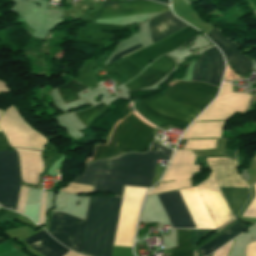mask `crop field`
Returning a JSON list of instances; mask_svg holds the SVG:
<instances>
[{
  "label": "crop field",
  "mask_w": 256,
  "mask_h": 256,
  "mask_svg": "<svg viewBox=\"0 0 256 256\" xmlns=\"http://www.w3.org/2000/svg\"><path fill=\"white\" fill-rule=\"evenodd\" d=\"M0 128L5 133L11 147L43 150V145L47 143L43 136L23 122L13 107L7 109L1 116Z\"/></svg>",
  "instance_id": "28ad6ade"
},
{
  "label": "crop field",
  "mask_w": 256,
  "mask_h": 256,
  "mask_svg": "<svg viewBox=\"0 0 256 256\" xmlns=\"http://www.w3.org/2000/svg\"><path fill=\"white\" fill-rule=\"evenodd\" d=\"M92 188L93 186L90 185L70 183L68 187H63L60 191L81 194L85 192H91Z\"/></svg>",
  "instance_id": "730fd06b"
},
{
  "label": "crop field",
  "mask_w": 256,
  "mask_h": 256,
  "mask_svg": "<svg viewBox=\"0 0 256 256\" xmlns=\"http://www.w3.org/2000/svg\"><path fill=\"white\" fill-rule=\"evenodd\" d=\"M245 230H247L245 225L237 222L236 224L228 228L225 233H223L222 235H220L219 237L211 241L206 246L200 248L199 252L201 256H206L207 254L214 251L215 249L225 244L229 240L233 239L234 237L244 232Z\"/></svg>",
  "instance_id": "dafd665d"
},
{
  "label": "crop field",
  "mask_w": 256,
  "mask_h": 256,
  "mask_svg": "<svg viewBox=\"0 0 256 256\" xmlns=\"http://www.w3.org/2000/svg\"><path fill=\"white\" fill-rule=\"evenodd\" d=\"M206 160L219 187H247L236 172L234 160L226 158H209ZM212 172L208 178L196 187L216 227H218L232 219L233 216L221 195Z\"/></svg>",
  "instance_id": "f4fd0767"
},
{
  "label": "crop field",
  "mask_w": 256,
  "mask_h": 256,
  "mask_svg": "<svg viewBox=\"0 0 256 256\" xmlns=\"http://www.w3.org/2000/svg\"><path fill=\"white\" fill-rule=\"evenodd\" d=\"M197 227L215 228L195 187L179 190ZM178 190L158 194L173 228H197Z\"/></svg>",
  "instance_id": "dd49c442"
},
{
  "label": "crop field",
  "mask_w": 256,
  "mask_h": 256,
  "mask_svg": "<svg viewBox=\"0 0 256 256\" xmlns=\"http://www.w3.org/2000/svg\"><path fill=\"white\" fill-rule=\"evenodd\" d=\"M147 192L125 187L114 245L132 247L139 208Z\"/></svg>",
  "instance_id": "5a996713"
},
{
  "label": "crop field",
  "mask_w": 256,
  "mask_h": 256,
  "mask_svg": "<svg viewBox=\"0 0 256 256\" xmlns=\"http://www.w3.org/2000/svg\"><path fill=\"white\" fill-rule=\"evenodd\" d=\"M121 199L90 197L80 254L111 256Z\"/></svg>",
  "instance_id": "412701ff"
},
{
  "label": "crop field",
  "mask_w": 256,
  "mask_h": 256,
  "mask_svg": "<svg viewBox=\"0 0 256 256\" xmlns=\"http://www.w3.org/2000/svg\"><path fill=\"white\" fill-rule=\"evenodd\" d=\"M158 149L146 154L126 153L110 159L97 160L86 166L83 176L74 182L94 185L93 192H108L121 196L123 185L151 187L157 158L168 161L172 151Z\"/></svg>",
  "instance_id": "ac0d7876"
},
{
  "label": "crop field",
  "mask_w": 256,
  "mask_h": 256,
  "mask_svg": "<svg viewBox=\"0 0 256 256\" xmlns=\"http://www.w3.org/2000/svg\"><path fill=\"white\" fill-rule=\"evenodd\" d=\"M169 8L148 0L103 2L96 19L138 13L164 12L169 10Z\"/></svg>",
  "instance_id": "cbeb9de0"
},
{
  "label": "crop field",
  "mask_w": 256,
  "mask_h": 256,
  "mask_svg": "<svg viewBox=\"0 0 256 256\" xmlns=\"http://www.w3.org/2000/svg\"><path fill=\"white\" fill-rule=\"evenodd\" d=\"M194 159L191 151L176 150L165 176L148 195L192 186L189 178L200 169V165L193 166Z\"/></svg>",
  "instance_id": "3316defc"
},
{
  "label": "crop field",
  "mask_w": 256,
  "mask_h": 256,
  "mask_svg": "<svg viewBox=\"0 0 256 256\" xmlns=\"http://www.w3.org/2000/svg\"><path fill=\"white\" fill-rule=\"evenodd\" d=\"M87 88L86 86L72 80L67 83L64 87L58 88V92L64 103L79 99L78 92Z\"/></svg>",
  "instance_id": "00972430"
},
{
  "label": "crop field",
  "mask_w": 256,
  "mask_h": 256,
  "mask_svg": "<svg viewBox=\"0 0 256 256\" xmlns=\"http://www.w3.org/2000/svg\"><path fill=\"white\" fill-rule=\"evenodd\" d=\"M105 106L107 105L101 102L91 109L76 112V115L80 119V121L87 126V124L95 117V115Z\"/></svg>",
  "instance_id": "4177f3b9"
},
{
  "label": "crop field",
  "mask_w": 256,
  "mask_h": 256,
  "mask_svg": "<svg viewBox=\"0 0 256 256\" xmlns=\"http://www.w3.org/2000/svg\"><path fill=\"white\" fill-rule=\"evenodd\" d=\"M253 158H254V160H255V162H256V154H255V156H254Z\"/></svg>",
  "instance_id": "0bd39190"
},
{
  "label": "crop field",
  "mask_w": 256,
  "mask_h": 256,
  "mask_svg": "<svg viewBox=\"0 0 256 256\" xmlns=\"http://www.w3.org/2000/svg\"><path fill=\"white\" fill-rule=\"evenodd\" d=\"M176 66L173 59L163 56L148 66L136 79L125 84L129 91H136L148 87L159 81Z\"/></svg>",
  "instance_id": "5142ce71"
},
{
  "label": "crop field",
  "mask_w": 256,
  "mask_h": 256,
  "mask_svg": "<svg viewBox=\"0 0 256 256\" xmlns=\"http://www.w3.org/2000/svg\"><path fill=\"white\" fill-rule=\"evenodd\" d=\"M142 46H141V44H139V45H136V46H134V47H131V48H129V49H127V50H125V51H123V52H121L120 54H118L117 56H115L114 58H112L111 59V61H110V63L111 62H113V61H116V60H118V59H120V58H122L121 56H123V55H125V54H127V53H130V52H132V51H134V50H137V49H139V48H141ZM142 49V48H141ZM140 50V49H139ZM138 51V50H137ZM135 52V51H134ZM133 53V52H132ZM131 54V53H130ZM128 55V54H127ZM126 56V55H125ZM124 57V56H123Z\"/></svg>",
  "instance_id": "d3111659"
},
{
  "label": "crop field",
  "mask_w": 256,
  "mask_h": 256,
  "mask_svg": "<svg viewBox=\"0 0 256 256\" xmlns=\"http://www.w3.org/2000/svg\"><path fill=\"white\" fill-rule=\"evenodd\" d=\"M64 256H79L71 251H69L68 253H66Z\"/></svg>",
  "instance_id": "d32e631a"
},
{
  "label": "crop field",
  "mask_w": 256,
  "mask_h": 256,
  "mask_svg": "<svg viewBox=\"0 0 256 256\" xmlns=\"http://www.w3.org/2000/svg\"><path fill=\"white\" fill-rule=\"evenodd\" d=\"M204 56L205 53L198 58L191 81H201ZM218 90L204 83L177 82L159 96L141 100L136 112L159 128L170 125L185 130L216 97Z\"/></svg>",
  "instance_id": "8a807250"
},
{
  "label": "crop field",
  "mask_w": 256,
  "mask_h": 256,
  "mask_svg": "<svg viewBox=\"0 0 256 256\" xmlns=\"http://www.w3.org/2000/svg\"><path fill=\"white\" fill-rule=\"evenodd\" d=\"M46 194L47 192L43 191L42 198H41V209H40V219H39L40 225L44 223V208H45Z\"/></svg>",
  "instance_id": "750c4746"
},
{
  "label": "crop field",
  "mask_w": 256,
  "mask_h": 256,
  "mask_svg": "<svg viewBox=\"0 0 256 256\" xmlns=\"http://www.w3.org/2000/svg\"><path fill=\"white\" fill-rule=\"evenodd\" d=\"M207 36L220 48L226 61L239 75H246L250 71L251 60L240 55L237 45L222 37L216 29Z\"/></svg>",
  "instance_id": "d9b57169"
},
{
  "label": "crop field",
  "mask_w": 256,
  "mask_h": 256,
  "mask_svg": "<svg viewBox=\"0 0 256 256\" xmlns=\"http://www.w3.org/2000/svg\"><path fill=\"white\" fill-rule=\"evenodd\" d=\"M8 211H9V210H6V209L1 208V209H0V216L3 215V214H5V213L8 212Z\"/></svg>",
  "instance_id": "028f5c9d"
},
{
  "label": "crop field",
  "mask_w": 256,
  "mask_h": 256,
  "mask_svg": "<svg viewBox=\"0 0 256 256\" xmlns=\"http://www.w3.org/2000/svg\"><path fill=\"white\" fill-rule=\"evenodd\" d=\"M9 91L8 87L0 81V92Z\"/></svg>",
  "instance_id": "120bbe31"
},
{
  "label": "crop field",
  "mask_w": 256,
  "mask_h": 256,
  "mask_svg": "<svg viewBox=\"0 0 256 256\" xmlns=\"http://www.w3.org/2000/svg\"><path fill=\"white\" fill-rule=\"evenodd\" d=\"M205 53L206 64L203 81L219 87L224 71V59L216 47Z\"/></svg>",
  "instance_id": "bc2a9ffb"
},
{
  "label": "crop field",
  "mask_w": 256,
  "mask_h": 256,
  "mask_svg": "<svg viewBox=\"0 0 256 256\" xmlns=\"http://www.w3.org/2000/svg\"><path fill=\"white\" fill-rule=\"evenodd\" d=\"M10 150L3 132H0V151ZM21 179L16 151L0 152V205L16 209Z\"/></svg>",
  "instance_id": "d8731c3e"
},
{
  "label": "crop field",
  "mask_w": 256,
  "mask_h": 256,
  "mask_svg": "<svg viewBox=\"0 0 256 256\" xmlns=\"http://www.w3.org/2000/svg\"><path fill=\"white\" fill-rule=\"evenodd\" d=\"M3 242H5V240H3L2 238H0V243H3Z\"/></svg>",
  "instance_id": "e1f06a70"
},
{
  "label": "crop field",
  "mask_w": 256,
  "mask_h": 256,
  "mask_svg": "<svg viewBox=\"0 0 256 256\" xmlns=\"http://www.w3.org/2000/svg\"><path fill=\"white\" fill-rule=\"evenodd\" d=\"M113 68L120 72L128 80L134 78L142 70L135 63L127 59L123 60Z\"/></svg>",
  "instance_id": "a9b5d70f"
},
{
  "label": "crop field",
  "mask_w": 256,
  "mask_h": 256,
  "mask_svg": "<svg viewBox=\"0 0 256 256\" xmlns=\"http://www.w3.org/2000/svg\"><path fill=\"white\" fill-rule=\"evenodd\" d=\"M250 97L245 93H232V85L223 83L217 99L183 134L181 139H188L184 149H214L226 120L235 111L243 112Z\"/></svg>",
  "instance_id": "34b2d1b8"
},
{
  "label": "crop field",
  "mask_w": 256,
  "mask_h": 256,
  "mask_svg": "<svg viewBox=\"0 0 256 256\" xmlns=\"http://www.w3.org/2000/svg\"><path fill=\"white\" fill-rule=\"evenodd\" d=\"M152 131L153 128L131 114L113 130L106 146H96L92 161L128 151L145 152L154 140Z\"/></svg>",
  "instance_id": "e52e79f7"
},
{
  "label": "crop field",
  "mask_w": 256,
  "mask_h": 256,
  "mask_svg": "<svg viewBox=\"0 0 256 256\" xmlns=\"http://www.w3.org/2000/svg\"><path fill=\"white\" fill-rule=\"evenodd\" d=\"M1 113H2V110H0V115H1Z\"/></svg>",
  "instance_id": "b80d0937"
},
{
  "label": "crop field",
  "mask_w": 256,
  "mask_h": 256,
  "mask_svg": "<svg viewBox=\"0 0 256 256\" xmlns=\"http://www.w3.org/2000/svg\"><path fill=\"white\" fill-rule=\"evenodd\" d=\"M28 189L29 188L23 187V186H21V189H20V194H19V199H18V204H17L16 211L20 212L22 214L24 212V206H25V201H26Z\"/></svg>",
  "instance_id": "eef30255"
},
{
  "label": "crop field",
  "mask_w": 256,
  "mask_h": 256,
  "mask_svg": "<svg viewBox=\"0 0 256 256\" xmlns=\"http://www.w3.org/2000/svg\"><path fill=\"white\" fill-rule=\"evenodd\" d=\"M25 241L44 256H63L69 251L51 239L45 231Z\"/></svg>",
  "instance_id": "92a150f3"
},
{
  "label": "crop field",
  "mask_w": 256,
  "mask_h": 256,
  "mask_svg": "<svg viewBox=\"0 0 256 256\" xmlns=\"http://www.w3.org/2000/svg\"><path fill=\"white\" fill-rule=\"evenodd\" d=\"M166 14L175 24L182 28L186 26L176 19L170 11L166 12ZM167 16L163 13L149 20L151 36L154 43L181 29L179 26L171 22Z\"/></svg>",
  "instance_id": "4a817a6b"
},
{
  "label": "crop field",
  "mask_w": 256,
  "mask_h": 256,
  "mask_svg": "<svg viewBox=\"0 0 256 256\" xmlns=\"http://www.w3.org/2000/svg\"><path fill=\"white\" fill-rule=\"evenodd\" d=\"M232 243H233V241H231L230 243H228L227 245H225L221 249L214 252L213 256H226L230 247H231V245H232Z\"/></svg>",
  "instance_id": "bd1437ed"
},
{
  "label": "crop field",
  "mask_w": 256,
  "mask_h": 256,
  "mask_svg": "<svg viewBox=\"0 0 256 256\" xmlns=\"http://www.w3.org/2000/svg\"><path fill=\"white\" fill-rule=\"evenodd\" d=\"M210 234L209 230H192L193 246L203 237ZM178 247L171 249L172 256H192L191 230H177ZM194 256V254H193Z\"/></svg>",
  "instance_id": "214f88e0"
},
{
  "label": "crop field",
  "mask_w": 256,
  "mask_h": 256,
  "mask_svg": "<svg viewBox=\"0 0 256 256\" xmlns=\"http://www.w3.org/2000/svg\"><path fill=\"white\" fill-rule=\"evenodd\" d=\"M155 1L161 2V3L166 4V5H169L168 0H155Z\"/></svg>",
  "instance_id": "5866460e"
},
{
  "label": "crop field",
  "mask_w": 256,
  "mask_h": 256,
  "mask_svg": "<svg viewBox=\"0 0 256 256\" xmlns=\"http://www.w3.org/2000/svg\"><path fill=\"white\" fill-rule=\"evenodd\" d=\"M84 221L53 212L48 232L66 247L80 251Z\"/></svg>",
  "instance_id": "d1516ede"
},
{
  "label": "crop field",
  "mask_w": 256,
  "mask_h": 256,
  "mask_svg": "<svg viewBox=\"0 0 256 256\" xmlns=\"http://www.w3.org/2000/svg\"><path fill=\"white\" fill-rule=\"evenodd\" d=\"M198 33L200 32L188 25L185 29L171 35L167 39L143 49L128 58L144 68L157 57L180 47L188 40L194 38Z\"/></svg>",
  "instance_id": "22f410ed"
},
{
  "label": "crop field",
  "mask_w": 256,
  "mask_h": 256,
  "mask_svg": "<svg viewBox=\"0 0 256 256\" xmlns=\"http://www.w3.org/2000/svg\"><path fill=\"white\" fill-rule=\"evenodd\" d=\"M19 153V163L22 180L26 183L38 185V173L43 171V163L40 151L16 149Z\"/></svg>",
  "instance_id": "733c2abd"
},
{
  "label": "crop field",
  "mask_w": 256,
  "mask_h": 256,
  "mask_svg": "<svg viewBox=\"0 0 256 256\" xmlns=\"http://www.w3.org/2000/svg\"><path fill=\"white\" fill-rule=\"evenodd\" d=\"M246 256H256V242L247 244Z\"/></svg>",
  "instance_id": "1d83c4d3"
},
{
  "label": "crop field",
  "mask_w": 256,
  "mask_h": 256,
  "mask_svg": "<svg viewBox=\"0 0 256 256\" xmlns=\"http://www.w3.org/2000/svg\"><path fill=\"white\" fill-rule=\"evenodd\" d=\"M253 186H254V191H255V197L252 200V202L250 203V205L247 208V210L245 211V213L243 214V216L256 217V183L253 184Z\"/></svg>",
  "instance_id": "ae1a2a85"
}]
</instances>
